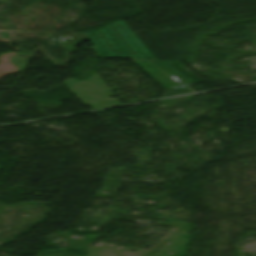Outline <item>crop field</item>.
<instances>
[{
	"label": "crop field",
	"mask_w": 256,
	"mask_h": 256,
	"mask_svg": "<svg viewBox=\"0 0 256 256\" xmlns=\"http://www.w3.org/2000/svg\"><path fill=\"white\" fill-rule=\"evenodd\" d=\"M83 33L98 57L156 60L123 20Z\"/></svg>",
	"instance_id": "8a807250"
},
{
	"label": "crop field",
	"mask_w": 256,
	"mask_h": 256,
	"mask_svg": "<svg viewBox=\"0 0 256 256\" xmlns=\"http://www.w3.org/2000/svg\"><path fill=\"white\" fill-rule=\"evenodd\" d=\"M132 60L165 89L196 83L192 77L186 78L169 61Z\"/></svg>",
	"instance_id": "ac0d7876"
}]
</instances>
